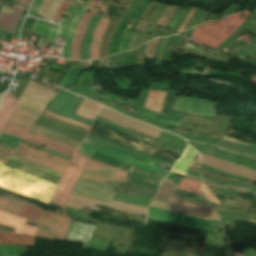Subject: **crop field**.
I'll return each mask as SVG.
<instances>
[{
  "mask_svg": "<svg viewBox=\"0 0 256 256\" xmlns=\"http://www.w3.org/2000/svg\"><path fill=\"white\" fill-rule=\"evenodd\" d=\"M16 2H19V5H28L30 0H14Z\"/></svg>",
  "mask_w": 256,
  "mask_h": 256,
  "instance_id": "52",
  "label": "crop field"
},
{
  "mask_svg": "<svg viewBox=\"0 0 256 256\" xmlns=\"http://www.w3.org/2000/svg\"><path fill=\"white\" fill-rule=\"evenodd\" d=\"M24 9L15 4H13L11 9L3 5L0 9V29L13 34Z\"/></svg>",
  "mask_w": 256,
  "mask_h": 256,
  "instance_id": "16",
  "label": "crop field"
},
{
  "mask_svg": "<svg viewBox=\"0 0 256 256\" xmlns=\"http://www.w3.org/2000/svg\"><path fill=\"white\" fill-rule=\"evenodd\" d=\"M218 147L224 150L242 153L256 158V146L247 145L226 136H224Z\"/></svg>",
  "mask_w": 256,
  "mask_h": 256,
  "instance_id": "20",
  "label": "crop field"
},
{
  "mask_svg": "<svg viewBox=\"0 0 256 256\" xmlns=\"http://www.w3.org/2000/svg\"><path fill=\"white\" fill-rule=\"evenodd\" d=\"M187 174H190V175H194V176H197V177H200V175L198 173H195V172H192V171H187ZM201 178V177H200Z\"/></svg>",
  "mask_w": 256,
  "mask_h": 256,
  "instance_id": "54",
  "label": "crop field"
},
{
  "mask_svg": "<svg viewBox=\"0 0 256 256\" xmlns=\"http://www.w3.org/2000/svg\"><path fill=\"white\" fill-rule=\"evenodd\" d=\"M42 1L43 0H35L34 1L33 6H32L33 10L30 11L29 15H32V16L35 15V13L37 12V10H38L39 6L41 5Z\"/></svg>",
  "mask_w": 256,
  "mask_h": 256,
  "instance_id": "48",
  "label": "crop field"
},
{
  "mask_svg": "<svg viewBox=\"0 0 256 256\" xmlns=\"http://www.w3.org/2000/svg\"><path fill=\"white\" fill-rule=\"evenodd\" d=\"M166 92L149 90L145 102V108L160 112Z\"/></svg>",
  "mask_w": 256,
  "mask_h": 256,
  "instance_id": "25",
  "label": "crop field"
},
{
  "mask_svg": "<svg viewBox=\"0 0 256 256\" xmlns=\"http://www.w3.org/2000/svg\"><path fill=\"white\" fill-rule=\"evenodd\" d=\"M196 152L188 146L184 155L177 161L171 172L185 174L188 166L192 162Z\"/></svg>",
  "mask_w": 256,
  "mask_h": 256,
  "instance_id": "27",
  "label": "crop field"
},
{
  "mask_svg": "<svg viewBox=\"0 0 256 256\" xmlns=\"http://www.w3.org/2000/svg\"><path fill=\"white\" fill-rule=\"evenodd\" d=\"M98 115L108 120H111L121 126L137 130L139 132L145 133L155 138H157L158 134L160 133V130L158 129H155L151 126L123 117L105 107L101 108V110L98 112Z\"/></svg>",
  "mask_w": 256,
  "mask_h": 256,
  "instance_id": "13",
  "label": "crop field"
},
{
  "mask_svg": "<svg viewBox=\"0 0 256 256\" xmlns=\"http://www.w3.org/2000/svg\"><path fill=\"white\" fill-rule=\"evenodd\" d=\"M2 94L0 95V98H1Z\"/></svg>",
  "mask_w": 256,
  "mask_h": 256,
  "instance_id": "55",
  "label": "crop field"
},
{
  "mask_svg": "<svg viewBox=\"0 0 256 256\" xmlns=\"http://www.w3.org/2000/svg\"><path fill=\"white\" fill-rule=\"evenodd\" d=\"M0 8H1V5H0Z\"/></svg>",
  "mask_w": 256,
  "mask_h": 256,
  "instance_id": "56",
  "label": "crop field"
},
{
  "mask_svg": "<svg viewBox=\"0 0 256 256\" xmlns=\"http://www.w3.org/2000/svg\"><path fill=\"white\" fill-rule=\"evenodd\" d=\"M63 0H44L39 11L36 13L45 19H53V15Z\"/></svg>",
  "mask_w": 256,
  "mask_h": 256,
  "instance_id": "29",
  "label": "crop field"
},
{
  "mask_svg": "<svg viewBox=\"0 0 256 256\" xmlns=\"http://www.w3.org/2000/svg\"><path fill=\"white\" fill-rule=\"evenodd\" d=\"M75 1H77L80 4L82 2L80 0H75ZM90 1L91 0H89L87 4L85 2H83L82 6H80V7L75 5V4H72L67 9V11H70L71 13L70 14H68L66 12L63 13V15L69 16V19L63 18V20L60 24L61 28L58 32V37L57 38H65L61 57L69 59L70 49H71V39H72L74 30L76 29L84 11H85V8L87 7V5L89 4ZM69 23H70L69 32H68V34H66L67 29L69 27Z\"/></svg>",
  "mask_w": 256,
  "mask_h": 256,
  "instance_id": "7",
  "label": "crop field"
},
{
  "mask_svg": "<svg viewBox=\"0 0 256 256\" xmlns=\"http://www.w3.org/2000/svg\"><path fill=\"white\" fill-rule=\"evenodd\" d=\"M126 183L131 185V187H129L132 191L128 193L116 192L115 196L113 195V199L148 207L157 189L136 184L128 180ZM139 186H141V188H139Z\"/></svg>",
  "mask_w": 256,
  "mask_h": 256,
  "instance_id": "11",
  "label": "crop field"
},
{
  "mask_svg": "<svg viewBox=\"0 0 256 256\" xmlns=\"http://www.w3.org/2000/svg\"><path fill=\"white\" fill-rule=\"evenodd\" d=\"M147 218L173 223L177 225L191 226L203 229L207 228V235L205 237L206 246L204 250V256H214V236L216 221H206L202 219L192 218L152 206H150ZM210 243H212V245H210Z\"/></svg>",
  "mask_w": 256,
  "mask_h": 256,
  "instance_id": "3",
  "label": "crop field"
},
{
  "mask_svg": "<svg viewBox=\"0 0 256 256\" xmlns=\"http://www.w3.org/2000/svg\"><path fill=\"white\" fill-rule=\"evenodd\" d=\"M68 91H71L73 93H76V94H93V95H99V96H105L106 98L112 100V101H115V102H119V103H128L130 105H132L133 107L137 108V113H140L142 115H145V116H148L150 118H153V119H156L160 122H164V123H168V124H172V125H176L178 126L183 115L182 114H177V113H173L171 112L169 117H166V116H162V115H158V114H155V113H151V112H148L144 109H141L123 99H120L110 93H107V95H103V94H95V93H90V92H93V91H102V90H98V89H72V90H68ZM105 92V91H104Z\"/></svg>",
  "mask_w": 256,
  "mask_h": 256,
  "instance_id": "12",
  "label": "crop field"
},
{
  "mask_svg": "<svg viewBox=\"0 0 256 256\" xmlns=\"http://www.w3.org/2000/svg\"><path fill=\"white\" fill-rule=\"evenodd\" d=\"M93 5L98 6L99 1L92 0L89 4L88 8L90 9L89 13H85L75 31V34L73 36V42H72V49H71V56L70 59H77L79 60V47H80V40L84 34L85 28L87 26V23L91 17V15L95 12L93 10Z\"/></svg>",
  "mask_w": 256,
  "mask_h": 256,
  "instance_id": "18",
  "label": "crop field"
},
{
  "mask_svg": "<svg viewBox=\"0 0 256 256\" xmlns=\"http://www.w3.org/2000/svg\"><path fill=\"white\" fill-rule=\"evenodd\" d=\"M0 256H18L16 251L11 250H0Z\"/></svg>",
  "mask_w": 256,
  "mask_h": 256,
  "instance_id": "49",
  "label": "crop field"
},
{
  "mask_svg": "<svg viewBox=\"0 0 256 256\" xmlns=\"http://www.w3.org/2000/svg\"><path fill=\"white\" fill-rule=\"evenodd\" d=\"M23 139L34 142L39 145L46 144L47 148L53 149L60 153L66 154L68 156L69 155L73 156V154L75 152V150L72 148H69V147L59 144L57 142L51 141L49 139H46L44 137H41V136L31 133L29 131H27V133L24 135Z\"/></svg>",
  "mask_w": 256,
  "mask_h": 256,
  "instance_id": "21",
  "label": "crop field"
},
{
  "mask_svg": "<svg viewBox=\"0 0 256 256\" xmlns=\"http://www.w3.org/2000/svg\"><path fill=\"white\" fill-rule=\"evenodd\" d=\"M131 25H128L127 29L125 30L122 38H121V42H120V49H123V51L126 50L127 48V44L130 40V37L132 34L128 33L129 29H130ZM120 49H119V52H120Z\"/></svg>",
  "mask_w": 256,
  "mask_h": 256,
  "instance_id": "40",
  "label": "crop field"
},
{
  "mask_svg": "<svg viewBox=\"0 0 256 256\" xmlns=\"http://www.w3.org/2000/svg\"><path fill=\"white\" fill-rule=\"evenodd\" d=\"M0 249H23V250H28L27 247H14V246H0Z\"/></svg>",
  "mask_w": 256,
  "mask_h": 256,
  "instance_id": "51",
  "label": "crop field"
},
{
  "mask_svg": "<svg viewBox=\"0 0 256 256\" xmlns=\"http://www.w3.org/2000/svg\"><path fill=\"white\" fill-rule=\"evenodd\" d=\"M44 112H45V113H48V114H50V115L56 116V117H58V118L64 119V120H66V121L72 122V123H74V124L83 126V127H85V128H88V129H89V127H90L89 125L81 124V123L76 122V121H74V120H71V119H68V118L59 116V115H57V114H54V113H51V112H48V111H45V110H44Z\"/></svg>",
  "mask_w": 256,
  "mask_h": 256,
  "instance_id": "46",
  "label": "crop field"
},
{
  "mask_svg": "<svg viewBox=\"0 0 256 256\" xmlns=\"http://www.w3.org/2000/svg\"><path fill=\"white\" fill-rule=\"evenodd\" d=\"M185 178H188V179H192V180H195V181H198L201 183V180L199 178H196V177H193V176H190V175H185Z\"/></svg>",
  "mask_w": 256,
  "mask_h": 256,
  "instance_id": "53",
  "label": "crop field"
},
{
  "mask_svg": "<svg viewBox=\"0 0 256 256\" xmlns=\"http://www.w3.org/2000/svg\"><path fill=\"white\" fill-rule=\"evenodd\" d=\"M215 105L200 99L181 96L176 98L171 110L215 117Z\"/></svg>",
  "mask_w": 256,
  "mask_h": 256,
  "instance_id": "10",
  "label": "crop field"
},
{
  "mask_svg": "<svg viewBox=\"0 0 256 256\" xmlns=\"http://www.w3.org/2000/svg\"><path fill=\"white\" fill-rule=\"evenodd\" d=\"M256 53V45L246 43L245 47L241 48L236 55L239 58L244 59L247 55Z\"/></svg>",
  "mask_w": 256,
  "mask_h": 256,
  "instance_id": "37",
  "label": "crop field"
},
{
  "mask_svg": "<svg viewBox=\"0 0 256 256\" xmlns=\"http://www.w3.org/2000/svg\"><path fill=\"white\" fill-rule=\"evenodd\" d=\"M170 200H171V201H174V202H177V203H180V204H182V205L188 206V207H192V208H196V209H200V210H204V211H208V212H213V213H215L212 209H208V208L196 206V205H193V204H190V203H187V202H184V201H181V200L172 198V197H171Z\"/></svg>",
  "mask_w": 256,
  "mask_h": 256,
  "instance_id": "43",
  "label": "crop field"
},
{
  "mask_svg": "<svg viewBox=\"0 0 256 256\" xmlns=\"http://www.w3.org/2000/svg\"><path fill=\"white\" fill-rule=\"evenodd\" d=\"M194 11H195V9L192 8L191 11H190V13H189V15L185 18L184 22L182 23V25H181V27H180L178 33L183 31L184 26H185V24H186L188 18L194 13Z\"/></svg>",
  "mask_w": 256,
  "mask_h": 256,
  "instance_id": "50",
  "label": "crop field"
},
{
  "mask_svg": "<svg viewBox=\"0 0 256 256\" xmlns=\"http://www.w3.org/2000/svg\"><path fill=\"white\" fill-rule=\"evenodd\" d=\"M201 175H202V174H201ZM202 177H203L204 179L211 180V181H214V182H219V183H224V184H230V185H236V186H241V187H247V188H250L248 191H252V192L256 193V186L251 187V186H247V185H243V184H239V183H235V182H230V181H224V180L215 179V178L208 177V176H205V175H202Z\"/></svg>",
  "mask_w": 256,
  "mask_h": 256,
  "instance_id": "38",
  "label": "crop field"
},
{
  "mask_svg": "<svg viewBox=\"0 0 256 256\" xmlns=\"http://www.w3.org/2000/svg\"><path fill=\"white\" fill-rule=\"evenodd\" d=\"M35 238L17 236V235H8L0 234V244L1 245H27L34 246L33 242Z\"/></svg>",
  "mask_w": 256,
  "mask_h": 256,
  "instance_id": "28",
  "label": "crop field"
},
{
  "mask_svg": "<svg viewBox=\"0 0 256 256\" xmlns=\"http://www.w3.org/2000/svg\"><path fill=\"white\" fill-rule=\"evenodd\" d=\"M92 159L128 170L129 174L131 175L130 180L143 183L148 186H152L156 188L159 187L162 179L165 177V176L126 164L116 159L110 158L96 151L94 152Z\"/></svg>",
  "mask_w": 256,
  "mask_h": 256,
  "instance_id": "6",
  "label": "crop field"
},
{
  "mask_svg": "<svg viewBox=\"0 0 256 256\" xmlns=\"http://www.w3.org/2000/svg\"><path fill=\"white\" fill-rule=\"evenodd\" d=\"M12 153H13V152H12ZM13 155H16V156H18V157H21V158L30 160V161H32V162L41 164V165L46 166V167H49V168L55 169V170L60 171V172L62 171V168H59V167H57V166L51 165V164H49V163L40 161V160L35 159V158H32V157H29V156H27V155L21 154V153L16 152V151H14ZM63 170H64V169H63ZM62 172H63V171H62Z\"/></svg>",
  "mask_w": 256,
  "mask_h": 256,
  "instance_id": "36",
  "label": "crop field"
},
{
  "mask_svg": "<svg viewBox=\"0 0 256 256\" xmlns=\"http://www.w3.org/2000/svg\"><path fill=\"white\" fill-rule=\"evenodd\" d=\"M79 151H81L82 153H84L85 155H87L88 157H91L92 153L94 150H97L99 152H102L104 154H107L109 156H112L114 158H117L119 160H122L124 162H127L129 164H132V165H135V166H138V167H142V168H145V169H148V170H151V171H154V172H158V173H161V174H164L166 175L167 172H164V171H161V170H158L156 168H153V167H150V166H147V165H144V164H141V163H138V162H135L133 160H130V159H127V158H124V157H121V156H118V155H115L113 153H110V152H107V151H104V150H101V149H98V148H95L93 146H90V145H87V144H84L82 143L78 149Z\"/></svg>",
  "mask_w": 256,
  "mask_h": 256,
  "instance_id": "22",
  "label": "crop field"
},
{
  "mask_svg": "<svg viewBox=\"0 0 256 256\" xmlns=\"http://www.w3.org/2000/svg\"><path fill=\"white\" fill-rule=\"evenodd\" d=\"M24 221L25 218L0 210V224L15 228L17 234L34 236L37 228L25 225Z\"/></svg>",
  "mask_w": 256,
  "mask_h": 256,
  "instance_id": "17",
  "label": "crop field"
},
{
  "mask_svg": "<svg viewBox=\"0 0 256 256\" xmlns=\"http://www.w3.org/2000/svg\"><path fill=\"white\" fill-rule=\"evenodd\" d=\"M200 185H201L200 183L183 178V180L177 186V189L200 194V192H199Z\"/></svg>",
  "mask_w": 256,
  "mask_h": 256,
  "instance_id": "35",
  "label": "crop field"
},
{
  "mask_svg": "<svg viewBox=\"0 0 256 256\" xmlns=\"http://www.w3.org/2000/svg\"><path fill=\"white\" fill-rule=\"evenodd\" d=\"M175 188H176V185H174L172 182H170L168 179L165 178L158 194L155 196L153 201L166 204L169 197L172 196V197L182 199V200H185V201H188V202H191V203H195V204L210 207V205L194 202V201H191V200H188V199H185V198H182V197L171 194Z\"/></svg>",
  "mask_w": 256,
  "mask_h": 256,
  "instance_id": "23",
  "label": "crop field"
},
{
  "mask_svg": "<svg viewBox=\"0 0 256 256\" xmlns=\"http://www.w3.org/2000/svg\"><path fill=\"white\" fill-rule=\"evenodd\" d=\"M89 135L106 140L108 142L153 156L169 163H174L176 159L150 146L140 143L139 140L117 131L107 125L94 120L93 127Z\"/></svg>",
  "mask_w": 256,
  "mask_h": 256,
  "instance_id": "2",
  "label": "crop field"
},
{
  "mask_svg": "<svg viewBox=\"0 0 256 256\" xmlns=\"http://www.w3.org/2000/svg\"><path fill=\"white\" fill-rule=\"evenodd\" d=\"M85 172L122 181H126L127 178V171L92 160L87 165Z\"/></svg>",
  "mask_w": 256,
  "mask_h": 256,
  "instance_id": "15",
  "label": "crop field"
},
{
  "mask_svg": "<svg viewBox=\"0 0 256 256\" xmlns=\"http://www.w3.org/2000/svg\"><path fill=\"white\" fill-rule=\"evenodd\" d=\"M37 119V117L30 114L24 113L15 109L13 115L10 118V121L20 124L25 127H30V125Z\"/></svg>",
  "mask_w": 256,
  "mask_h": 256,
  "instance_id": "33",
  "label": "crop field"
},
{
  "mask_svg": "<svg viewBox=\"0 0 256 256\" xmlns=\"http://www.w3.org/2000/svg\"><path fill=\"white\" fill-rule=\"evenodd\" d=\"M71 3L72 2L70 1L64 0L63 3L60 5V7L57 9L54 18L61 19L60 18L61 13L64 12Z\"/></svg>",
  "mask_w": 256,
  "mask_h": 256,
  "instance_id": "44",
  "label": "crop field"
},
{
  "mask_svg": "<svg viewBox=\"0 0 256 256\" xmlns=\"http://www.w3.org/2000/svg\"><path fill=\"white\" fill-rule=\"evenodd\" d=\"M16 105V99L8 92L0 106V132ZM8 121V120H7Z\"/></svg>",
  "mask_w": 256,
  "mask_h": 256,
  "instance_id": "26",
  "label": "crop field"
},
{
  "mask_svg": "<svg viewBox=\"0 0 256 256\" xmlns=\"http://www.w3.org/2000/svg\"><path fill=\"white\" fill-rule=\"evenodd\" d=\"M173 194H176V195H179V196H183V197H186V198H189V199H192V200H196V201H202V202H206L208 203L207 201H205L202 196H199V195H195V194H191V193H187V192H184V191H181V190H177L175 189ZM209 204V203H208Z\"/></svg>",
  "mask_w": 256,
  "mask_h": 256,
  "instance_id": "39",
  "label": "crop field"
},
{
  "mask_svg": "<svg viewBox=\"0 0 256 256\" xmlns=\"http://www.w3.org/2000/svg\"><path fill=\"white\" fill-rule=\"evenodd\" d=\"M102 18H101L99 24L97 25V27L94 31V34H93L92 44H91V49H90V59L99 58L98 50H99L101 37H102L103 31L109 21V20H105Z\"/></svg>",
  "mask_w": 256,
  "mask_h": 256,
  "instance_id": "24",
  "label": "crop field"
},
{
  "mask_svg": "<svg viewBox=\"0 0 256 256\" xmlns=\"http://www.w3.org/2000/svg\"><path fill=\"white\" fill-rule=\"evenodd\" d=\"M80 100H81V97H78V96L69 94L63 90H60L57 93V95L54 97V99L49 103L46 110L90 125L92 121L82 119L73 114Z\"/></svg>",
  "mask_w": 256,
  "mask_h": 256,
  "instance_id": "8",
  "label": "crop field"
},
{
  "mask_svg": "<svg viewBox=\"0 0 256 256\" xmlns=\"http://www.w3.org/2000/svg\"><path fill=\"white\" fill-rule=\"evenodd\" d=\"M56 92L30 80L22 95L32 98L47 104L54 96Z\"/></svg>",
  "mask_w": 256,
  "mask_h": 256,
  "instance_id": "19",
  "label": "crop field"
},
{
  "mask_svg": "<svg viewBox=\"0 0 256 256\" xmlns=\"http://www.w3.org/2000/svg\"><path fill=\"white\" fill-rule=\"evenodd\" d=\"M158 39H154L150 42H147L146 50H145V55L147 57L154 58V49H155V45H156Z\"/></svg>",
  "mask_w": 256,
  "mask_h": 256,
  "instance_id": "42",
  "label": "crop field"
},
{
  "mask_svg": "<svg viewBox=\"0 0 256 256\" xmlns=\"http://www.w3.org/2000/svg\"><path fill=\"white\" fill-rule=\"evenodd\" d=\"M71 219L52 213L46 210L37 222L26 220L28 223L38 225L35 237L53 241L54 239L64 240Z\"/></svg>",
  "mask_w": 256,
  "mask_h": 256,
  "instance_id": "5",
  "label": "crop field"
},
{
  "mask_svg": "<svg viewBox=\"0 0 256 256\" xmlns=\"http://www.w3.org/2000/svg\"><path fill=\"white\" fill-rule=\"evenodd\" d=\"M100 108L101 106L92 103L86 99H83L82 103L76 111V114L92 120L94 115Z\"/></svg>",
  "mask_w": 256,
  "mask_h": 256,
  "instance_id": "31",
  "label": "crop field"
},
{
  "mask_svg": "<svg viewBox=\"0 0 256 256\" xmlns=\"http://www.w3.org/2000/svg\"><path fill=\"white\" fill-rule=\"evenodd\" d=\"M176 7L167 6L163 16L158 21L159 24L165 25V23L168 21V19L171 17V15L174 13Z\"/></svg>",
  "mask_w": 256,
  "mask_h": 256,
  "instance_id": "41",
  "label": "crop field"
},
{
  "mask_svg": "<svg viewBox=\"0 0 256 256\" xmlns=\"http://www.w3.org/2000/svg\"><path fill=\"white\" fill-rule=\"evenodd\" d=\"M43 211V209L26 202V204L23 206L18 215L37 221V219L40 217Z\"/></svg>",
  "mask_w": 256,
  "mask_h": 256,
  "instance_id": "32",
  "label": "crop field"
},
{
  "mask_svg": "<svg viewBox=\"0 0 256 256\" xmlns=\"http://www.w3.org/2000/svg\"><path fill=\"white\" fill-rule=\"evenodd\" d=\"M95 204L107 206L111 209L122 211V212H130V213H136L141 215H146L147 209H148L146 207L118 202L114 200H111L109 204H106V203H102V202H98V201H94V200H90V199H86V198H82L74 195H71L67 203L68 206H72L80 209H82L83 207H86V208L98 210L99 208L95 207L94 206Z\"/></svg>",
  "mask_w": 256,
  "mask_h": 256,
  "instance_id": "9",
  "label": "crop field"
},
{
  "mask_svg": "<svg viewBox=\"0 0 256 256\" xmlns=\"http://www.w3.org/2000/svg\"><path fill=\"white\" fill-rule=\"evenodd\" d=\"M203 181H204V183H206V184L213 185V186H217V187L236 188V189H245V190H247V188H241V187H234V186L222 185V184H217V183L210 182V181H205V180H203Z\"/></svg>",
  "mask_w": 256,
  "mask_h": 256,
  "instance_id": "47",
  "label": "crop field"
},
{
  "mask_svg": "<svg viewBox=\"0 0 256 256\" xmlns=\"http://www.w3.org/2000/svg\"><path fill=\"white\" fill-rule=\"evenodd\" d=\"M84 143H87V144L105 149L107 151L119 154V155L127 157V158H131V159H134V160H137V161L147 163L149 165L160 168L162 170H165V169H163L165 166L171 168L170 165H167V164L152 160L150 158H147V157H144V156H141V155H138V154H135V153H132V152H129V151H126V150L108 145L106 143H103V142H100V141H97V140H94V139H91V138H88V137H86V139L84 140ZM165 171L168 172V170H165Z\"/></svg>",
  "mask_w": 256,
  "mask_h": 256,
  "instance_id": "14",
  "label": "crop field"
},
{
  "mask_svg": "<svg viewBox=\"0 0 256 256\" xmlns=\"http://www.w3.org/2000/svg\"><path fill=\"white\" fill-rule=\"evenodd\" d=\"M242 13L245 15L243 18H240ZM249 14L248 11H245L219 21L202 24L194 29L190 39L194 41L198 40L201 45L204 44L216 49L238 28ZM231 26H233L232 29L230 28Z\"/></svg>",
  "mask_w": 256,
  "mask_h": 256,
  "instance_id": "1",
  "label": "crop field"
},
{
  "mask_svg": "<svg viewBox=\"0 0 256 256\" xmlns=\"http://www.w3.org/2000/svg\"><path fill=\"white\" fill-rule=\"evenodd\" d=\"M220 214L221 218H238V217H246L248 218V214H232V213H223L217 212Z\"/></svg>",
  "mask_w": 256,
  "mask_h": 256,
  "instance_id": "45",
  "label": "crop field"
},
{
  "mask_svg": "<svg viewBox=\"0 0 256 256\" xmlns=\"http://www.w3.org/2000/svg\"><path fill=\"white\" fill-rule=\"evenodd\" d=\"M40 20L38 19L32 29V32H35L36 34L42 35L46 37L47 33V40L46 41H54V38L56 36V31L59 27V25L53 24V26L42 24L39 22Z\"/></svg>",
  "mask_w": 256,
  "mask_h": 256,
  "instance_id": "30",
  "label": "crop field"
},
{
  "mask_svg": "<svg viewBox=\"0 0 256 256\" xmlns=\"http://www.w3.org/2000/svg\"><path fill=\"white\" fill-rule=\"evenodd\" d=\"M26 131L27 128L8 121L6 127L3 130V133H7L22 138Z\"/></svg>",
  "mask_w": 256,
  "mask_h": 256,
  "instance_id": "34",
  "label": "crop field"
},
{
  "mask_svg": "<svg viewBox=\"0 0 256 256\" xmlns=\"http://www.w3.org/2000/svg\"><path fill=\"white\" fill-rule=\"evenodd\" d=\"M88 160L87 156L82 155L76 150L67 169L65 168L66 170L62 178L60 177L61 179L55 187L48 205H62V209H64L70 192Z\"/></svg>",
  "mask_w": 256,
  "mask_h": 256,
  "instance_id": "4",
  "label": "crop field"
}]
</instances>
